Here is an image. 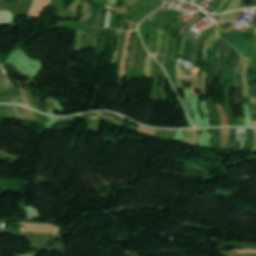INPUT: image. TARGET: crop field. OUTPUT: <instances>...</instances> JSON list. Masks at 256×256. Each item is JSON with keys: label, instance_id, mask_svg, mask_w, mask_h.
I'll return each instance as SVG.
<instances>
[{"label": "crop field", "instance_id": "23", "mask_svg": "<svg viewBox=\"0 0 256 256\" xmlns=\"http://www.w3.org/2000/svg\"><path fill=\"white\" fill-rule=\"evenodd\" d=\"M3 100H2V98H1V96H0V102H2Z\"/></svg>", "mask_w": 256, "mask_h": 256}, {"label": "crop field", "instance_id": "20", "mask_svg": "<svg viewBox=\"0 0 256 256\" xmlns=\"http://www.w3.org/2000/svg\"><path fill=\"white\" fill-rule=\"evenodd\" d=\"M193 73H198V69L197 68H193Z\"/></svg>", "mask_w": 256, "mask_h": 256}, {"label": "crop field", "instance_id": "19", "mask_svg": "<svg viewBox=\"0 0 256 256\" xmlns=\"http://www.w3.org/2000/svg\"><path fill=\"white\" fill-rule=\"evenodd\" d=\"M250 89H256V85H249Z\"/></svg>", "mask_w": 256, "mask_h": 256}, {"label": "crop field", "instance_id": "8", "mask_svg": "<svg viewBox=\"0 0 256 256\" xmlns=\"http://www.w3.org/2000/svg\"><path fill=\"white\" fill-rule=\"evenodd\" d=\"M97 8H98L97 6L92 5L87 25H93L94 26V18H95V15H96Z\"/></svg>", "mask_w": 256, "mask_h": 256}, {"label": "crop field", "instance_id": "24", "mask_svg": "<svg viewBox=\"0 0 256 256\" xmlns=\"http://www.w3.org/2000/svg\"><path fill=\"white\" fill-rule=\"evenodd\" d=\"M254 126H256V121H254Z\"/></svg>", "mask_w": 256, "mask_h": 256}, {"label": "crop field", "instance_id": "6", "mask_svg": "<svg viewBox=\"0 0 256 256\" xmlns=\"http://www.w3.org/2000/svg\"><path fill=\"white\" fill-rule=\"evenodd\" d=\"M236 142V129H229V139L225 149H232Z\"/></svg>", "mask_w": 256, "mask_h": 256}, {"label": "crop field", "instance_id": "27", "mask_svg": "<svg viewBox=\"0 0 256 256\" xmlns=\"http://www.w3.org/2000/svg\"><path fill=\"white\" fill-rule=\"evenodd\" d=\"M0 221H3V220H0Z\"/></svg>", "mask_w": 256, "mask_h": 256}, {"label": "crop field", "instance_id": "10", "mask_svg": "<svg viewBox=\"0 0 256 256\" xmlns=\"http://www.w3.org/2000/svg\"><path fill=\"white\" fill-rule=\"evenodd\" d=\"M185 74V73H184ZM179 69V64L176 63V78L190 79V75H184Z\"/></svg>", "mask_w": 256, "mask_h": 256}, {"label": "crop field", "instance_id": "2", "mask_svg": "<svg viewBox=\"0 0 256 256\" xmlns=\"http://www.w3.org/2000/svg\"><path fill=\"white\" fill-rule=\"evenodd\" d=\"M18 236H26L32 242L34 249H48L67 253L65 245L54 244L53 236L28 233H18ZM49 243H53V247H49Z\"/></svg>", "mask_w": 256, "mask_h": 256}, {"label": "crop field", "instance_id": "26", "mask_svg": "<svg viewBox=\"0 0 256 256\" xmlns=\"http://www.w3.org/2000/svg\"><path fill=\"white\" fill-rule=\"evenodd\" d=\"M185 68V67H184ZM185 69H188V68H185ZM190 70V69H189Z\"/></svg>", "mask_w": 256, "mask_h": 256}, {"label": "crop field", "instance_id": "25", "mask_svg": "<svg viewBox=\"0 0 256 256\" xmlns=\"http://www.w3.org/2000/svg\"><path fill=\"white\" fill-rule=\"evenodd\" d=\"M85 1H88V2H89L90 0H85Z\"/></svg>", "mask_w": 256, "mask_h": 256}, {"label": "crop field", "instance_id": "1", "mask_svg": "<svg viewBox=\"0 0 256 256\" xmlns=\"http://www.w3.org/2000/svg\"><path fill=\"white\" fill-rule=\"evenodd\" d=\"M229 44L226 43L225 41L219 39L217 41V43L213 46V50H212V63H213V68L211 70V72L209 73V82L211 84V82L213 80H215V78H221V82L222 84H224V80H223V59L225 56V53L227 51V49L229 48ZM218 54V61H219V65H218V69L217 72L215 74V60H216V56Z\"/></svg>", "mask_w": 256, "mask_h": 256}, {"label": "crop field", "instance_id": "3", "mask_svg": "<svg viewBox=\"0 0 256 256\" xmlns=\"http://www.w3.org/2000/svg\"><path fill=\"white\" fill-rule=\"evenodd\" d=\"M22 224L26 225V228H21L20 231L58 234V232L61 230L60 228L55 227L51 224H31V223H22Z\"/></svg>", "mask_w": 256, "mask_h": 256}, {"label": "crop field", "instance_id": "18", "mask_svg": "<svg viewBox=\"0 0 256 256\" xmlns=\"http://www.w3.org/2000/svg\"><path fill=\"white\" fill-rule=\"evenodd\" d=\"M119 37H120V35H118V37H117V41H116V50H117V47H118V44H119Z\"/></svg>", "mask_w": 256, "mask_h": 256}, {"label": "crop field", "instance_id": "13", "mask_svg": "<svg viewBox=\"0 0 256 256\" xmlns=\"http://www.w3.org/2000/svg\"><path fill=\"white\" fill-rule=\"evenodd\" d=\"M0 115L9 116L4 106H0Z\"/></svg>", "mask_w": 256, "mask_h": 256}, {"label": "crop field", "instance_id": "22", "mask_svg": "<svg viewBox=\"0 0 256 256\" xmlns=\"http://www.w3.org/2000/svg\"><path fill=\"white\" fill-rule=\"evenodd\" d=\"M252 109H256V106H252Z\"/></svg>", "mask_w": 256, "mask_h": 256}, {"label": "crop field", "instance_id": "12", "mask_svg": "<svg viewBox=\"0 0 256 256\" xmlns=\"http://www.w3.org/2000/svg\"><path fill=\"white\" fill-rule=\"evenodd\" d=\"M16 108H17V111H18V114H19L20 118L25 120V116H24V114H23V109H22V107L16 106Z\"/></svg>", "mask_w": 256, "mask_h": 256}, {"label": "crop field", "instance_id": "4", "mask_svg": "<svg viewBox=\"0 0 256 256\" xmlns=\"http://www.w3.org/2000/svg\"><path fill=\"white\" fill-rule=\"evenodd\" d=\"M239 57L240 55L232 47H230L226 54L224 67L237 66L239 63Z\"/></svg>", "mask_w": 256, "mask_h": 256}, {"label": "crop field", "instance_id": "11", "mask_svg": "<svg viewBox=\"0 0 256 256\" xmlns=\"http://www.w3.org/2000/svg\"><path fill=\"white\" fill-rule=\"evenodd\" d=\"M124 34H125V33H124ZM124 34L122 35V38H121V42H120V46H119V52H118V57H117V60H116V61H119V59H120L122 44H123V40H124Z\"/></svg>", "mask_w": 256, "mask_h": 256}, {"label": "crop field", "instance_id": "17", "mask_svg": "<svg viewBox=\"0 0 256 256\" xmlns=\"http://www.w3.org/2000/svg\"><path fill=\"white\" fill-rule=\"evenodd\" d=\"M249 73H256V71H250V72H248V76H256V74H249Z\"/></svg>", "mask_w": 256, "mask_h": 256}, {"label": "crop field", "instance_id": "9", "mask_svg": "<svg viewBox=\"0 0 256 256\" xmlns=\"http://www.w3.org/2000/svg\"><path fill=\"white\" fill-rule=\"evenodd\" d=\"M36 92H37L38 96H36L35 98H36V100H37L38 107H39L40 111L46 112L45 104H44V102H43V100H42V98H41L39 92H38L37 90H36ZM46 113H47V112H46Z\"/></svg>", "mask_w": 256, "mask_h": 256}, {"label": "crop field", "instance_id": "21", "mask_svg": "<svg viewBox=\"0 0 256 256\" xmlns=\"http://www.w3.org/2000/svg\"><path fill=\"white\" fill-rule=\"evenodd\" d=\"M193 78H198V75H193Z\"/></svg>", "mask_w": 256, "mask_h": 256}, {"label": "crop field", "instance_id": "16", "mask_svg": "<svg viewBox=\"0 0 256 256\" xmlns=\"http://www.w3.org/2000/svg\"><path fill=\"white\" fill-rule=\"evenodd\" d=\"M234 251H240V252H256V250H241V249H235Z\"/></svg>", "mask_w": 256, "mask_h": 256}, {"label": "crop field", "instance_id": "14", "mask_svg": "<svg viewBox=\"0 0 256 256\" xmlns=\"http://www.w3.org/2000/svg\"><path fill=\"white\" fill-rule=\"evenodd\" d=\"M11 78V77H10ZM12 82H13V85H14V88H15V91H16V94L19 95L21 94L16 82L13 80V78H11Z\"/></svg>", "mask_w": 256, "mask_h": 256}, {"label": "crop field", "instance_id": "5", "mask_svg": "<svg viewBox=\"0 0 256 256\" xmlns=\"http://www.w3.org/2000/svg\"><path fill=\"white\" fill-rule=\"evenodd\" d=\"M217 110L219 112L221 126H228V118H227V114H226L224 107L221 106L220 104H218Z\"/></svg>", "mask_w": 256, "mask_h": 256}, {"label": "crop field", "instance_id": "7", "mask_svg": "<svg viewBox=\"0 0 256 256\" xmlns=\"http://www.w3.org/2000/svg\"><path fill=\"white\" fill-rule=\"evenodd\" d=\"M1 67H2V70H3L4 74H5V76H6V82H7V85H8V87H9V89H10V93H11V96H12V100H13V102L18 103V100H17L16 94H15V91H14V89H13V87H12V83H11L10 79L8 78V76H7V74H6L4 64L1 65ZM18 104H19V103H18Z\"/></svg>", "mask_w": 256, "mask_h": 256}, {"label": "crop field", "instance_id": "15", "mask_svg": "<svg viewBox=\"0 0 256 256\" xmlns=\"http://www.w3.org/2000/svg\"><path fill=\"white\" fill-rule=\"evenodd\" d=\"M237 125L245 126L243 118H237Z\"/></svg>", "mask_w": 256, "mask_h": 256}]
</instances>
